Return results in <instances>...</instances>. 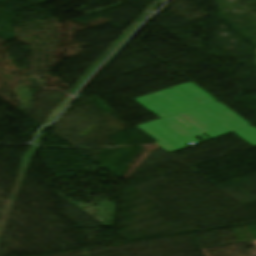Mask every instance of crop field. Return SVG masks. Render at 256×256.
<instances>
[{"instance_id": "1", "label": "crop field", "mask_w": 256, "mask_h": 256, "mask_svg": "<svg viewBox=\"0 0 256 256\" xmlns=\"http://www.w3.org/2000/svg\"><path fill=\"white\" fill-rule=\"evenodd\" d=\"M250 125L217 102L136 127L171 152L187 147L185 145L188 143H198L195 139L198 136L207 140L203 134L213 138L231 131L255 146L256 128Z\"/></svg>"}, {"instance_id": "2", "label": "crop field", "mask_w": 256, "mask_h": 256, "mask_svg": "<svg viewBox=\"0 0 256 256\" xmlns=\"http://www.w3.org/2000/svg\"><path fill=\"white\" fill-rule=\"evenodd\" d=\"M135 100L160 118L217 102L192 82Z\"/></svg>"}]
</instances>
